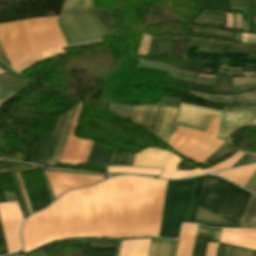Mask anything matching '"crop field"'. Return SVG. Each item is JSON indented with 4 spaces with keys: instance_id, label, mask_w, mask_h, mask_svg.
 <instances>
[{
    "instance_id": "14",
    "label": "crop field",
    "mask_w": 256,
    "mask_h": 256,
    "mask_svg": "<svg viewBox=\"0 0 256 256\" xmlns=\"http://www.w3.org/2000/svg\"><path fill=\"white\" fill-rule=\"evenodd\" d=\"M83 105L80 104L76 119L70 133L66 148L64 150L60 164L79 165L84 164L91 148L92 142L77 137H73Z\"/></svg>"
},
{
    "instance_id": "1",
    "label": "crop field",
    "mask_w": 256,
    "mask_h": 256,
    "mask_svg": "<svg viewBox=\"0 0 256 256\" xmlns=\"http://www.w3.org/2000/svg\"><path fill=\"white\" fill-rule=\"evenodd\" d=\"M57 17L28 19L0 25V41L10 64L20 73L39 60L65 53Z\"/></svg>"
},
{
    "instance_id": "35",
    "label": "crop field",
    "mask_w": 256,
    "mask_h": 256,
    "mask_svg": "<svg viewBox=\"0 0 256 256\" xmlns=\"http://www.w3.org/2000/svg\"><path fill=\"white\" fill-rule=\"evenodd\" d=\"M140 183H141V177H138L132 237H136V231H137Z\"/></svg>"
},
{
    "instance_id": "24",
    "label": "crop field",
    "mask_w": 256,
    "mask_h": 256,
    "mask_svg": "<svg viewBox=\"0 0 256 256\" xmlns=\"http://www.w3.org/2000/svg\"><path fill=\"white\" fill-rule=\"evenodd\" d=\"M247 56L248 54L245 53H238L226 50L223 57L222 65L256 68V60L242 59L247 58Z\"/></svg>"
},
{
    "instance_id": "11",
    "label": "crop field",
    "mask_w": 256,
    "mask_h": 256,
    "mask_svg": "<svg viewBox=\"0 0 256 256\" xmlns=\"http://www.w3.org/2000/svg\"><path fill=\"white\" fill-rule=\"evenodd\" d=\"M231 112L222 110L217 138L225 140L237 129L251 123L256 118V107H235Z\"/></svg>"
},
{
    "instance_id": "46",
    "label": "crop field",
    "mask_w": 256,
    "mask_h": 256,
    "mask_svg": "<svg viewBox=\"0 0 256 256\" xmlns=\"http://www.w3.org/2000/svg\"><path fill=\"white\" fill-rule=\"evenodd\" d=\"M220 231L221 229H211L209 241L218 242Z\"/></svg>"
},
{
    "instance_id": "18",
    "label": "crop field",
    "mask_w": 256,
    "mask_h": 256,
    "mask_svg": "<svg viewBox=\"0 0 256 256\" xmlns=\"http://www.w3.org/2000/svg\"><path fill=\"white\" fill-rule=\"evenodd\" d=\"M196 224H183L177 256H191Z\"/></svg>"
},
{
    "instance_id": "6",
    "label": "crop field",
    "mask_w": 256,
    "mask_h": 256,
    "mask_svg": "<svg viewBox=\"0 0 256 256\" xmlns=\"http://www.w3.org/2000/svg\"><path fill=\"white\" fill-rule=\"evenodd\" d=\"M86 236L111 238L112 178L84 189Z\"/></svg>"
},
{
    "instance_id": "4",
    "label": "crop field",
    "mask_w": 256,
    "mask_h": 256,
    "mask_svg": "<svg viewBox=\"0 0 256 256\" xmlns=\"http://www.w3.org/2000/svg\"><path fill=\"white\" fill-rule=\"evenodd\" d=\"M92 5L93 0H65L56 23L67 46L109 36Z\"/></svg>"
},
{
    "instance_id": "13",
    "label": "crop field",
    "mask_w": 256,
    "mask_h": 256,
    "mask_svg": "<svg viewBox=\"0 0 256 256\" xmlns=\"http://www.w3.org/2000/svg\"><path fill=\"white\" fill-rule=\"evenodd\" d=\"M55 198L60 196L64 191L72 188L84 187L103 180V177L45 172Z\"/></svg>"
},
{
    "instance_id": "34",
    "label": "crop field",
    "mask_w": 256,
    "mask_h": 256,
    "mask_svg": "<svg viewBox=\"0 0 256 256\" xmlns=\"http://www.w3.org/2000/svg\"><path fill=\"white\" fill-rule=\"evenodd\" d=\"M136 240L122 241L119 256H133Z\"/></svg>"
},
{
    "instance_id": "38",
    "label": "crop field",
    "mask_w": 256,
    "mask_h": 256,
    "mask_svg": "<svg viewBox=\"0 0 256 256\" xmlns=\"http://www.w3.org/2000/svg\"><path fill=\"white\" fill-rule=\"evenodd\" d=\"M203 173L199 170V168L192 170V171H179L177 170L173 179L176 178H185L190 176L202 175Z\"/></svg>"
},
{
    "instance_id": "25",
    "label": "crop field",
    "mask_w": 256,
    "mask_h": 256,
    "mask_svg": "<svg viewBox=\"0 0 256 256\" xmlns=\"http://www.w3.org/2000/svg\"><path fill=\"white\" fill-rule=\"evenodd\" d=\"M177 113H178V109L171 108V107L168 108L165 121L157 135L160 139H162L167 143L172 137L175 130L177 129V126L173 125V122L175 120Z\"/></svg>"
},
{
    "instance_id": "37",
    "label": "crop field",
    "mask_w": 256,
    "mask_h": 256,
    "mask_svg": "<svg viewBox=\"0 0 256 256\" xmlns=\"http://www.w3.org/2000/svg\"><path fill=\"white\" fill-rule=\"evenodd\" d=\"M128 153H118L113 151L109 165H124Z\"/></svg>"
},
{
    "instance_id": "58",
    "label": "crop field",
    "mask_w": 256,
    "mask_h": 256,
    "mask_svg": "<svg viewBox=\"0 0 256 256\" xmlns=\"http://www.w3.org/2000/svg\"><path fill=\"white\" fill-rule=\"evenodd\" d=\"M255 24H256V18H255Z\"/></svg>"
},
{
    "instance_id": "59",
    "label": "crop field",
    "mask_w": 256,
    "mask_h": 256,
    "mask_svg": "<svg viewBox=\"0 0 256 256\" xmlns=\"http://www.w3.org/2000/svg\"><path fill=\"white\" fill-rule=\"evenodd\" d=\"M254 123H256V121Z\"/></svg>"
},
{
    "instance_id": "17",
    "label": "crop field",
    "mask_w": 256,
    "mask_h": 256,
    "mask_svg": "<svg viewBox=\"0 0 256 256\" xmlns=\"http://www.w3.org/2000/svg\"><path fill=\"white\" fill-rule=\"evenodd\" d=\"M160 106H137L134 107L132 121L151 131L153 128Z\"/></svg>"
},
{
    "instance_id": "42",
    "label": "crop field",
    "mask_w": 256,
    "mask_h": 256,
    "mask_svg": "<svg viewBox=\"0 0 256 256\" xmlns=\"http://www.w3.org/2000/svg\"><path fill=\"white\" fill-rule=\"evenodd\" d=\"M8 253L0 222V255Z\"/></svg>"
},
{
    "instance_id": "40",
    "label": "crop field",
    "mask_w": 256,
    "mask_h": 256,
    "mask_svg": "<svg viewBox=\"0 0 256 256\" xmlns=\"http://www.w3.org/2000/svg\"><path fill=\"white\" fill-rule=\"evenodd\" d=\"M167 108L168 107L161 106V110H160V113H159L158 121H157V123L155 125V129L152 131V133L155 134V135H157V133H158V131H159L163 121H164Z\"/></svg>"
},
{
    "instance_id": "8",
    "label": "crop field",
    "mask_w": 256,
    "mask_h": 256,
    "mask_svg": "<svg viewBox=\"0 0 256 256\" xmlns=\"http://www.w3.org/2000/svg\"><path fill=\"white\" fill-rule=\"evenodd\" d=\"M166 181L142 177L138 236L159 234Z\"/></svg>"
},
{
    "instance_id": "52",
    "label": "crop field",
    "mask_w": 256,
    "mask_h": 256,
    "mask_svg": "<svg viewBox=\"0 0 256 256\" xmlns=\"http://www.w3.org/2000/svg\"><path fill=\"white\" fill-rule=\"evenodd\" d=\"M49 142H50V141H48L47 146H46V149H45L44 154H43V156H42L41 162H40V164H39L40 166L42 165V162H43V159H44L45 153H46L47 148H48V145H49Z\"/></svg>"
},
{
    "instance_id": "19",
    "label": "crop field",
    "mask_w": 256,
    "mask_h": 256,
    "mask_svg": "<svg viewBox=\"0 0 256 256\" xmlns=\"http://www.w3.org/2000/svg\"><path fill=\"white\" fill-rule=\"evenodd\" d=\"M112 150L113 149L110 147L94 142L86 164L94 166H107Z\"/></svg>"
},
{
    "instance_id": "51",
    "label": "crop field",
    "mask_w": 256,
    "mask_h": 256,
    "mask_svg": "<svg viewBox=\"0 0 256 256\" xmlns=\"http://www.w3.org/2000/svg\"><path fill=\"white\" fill-rule=\"evenodd\" d=\"M256 180V170L255 172L252 174V176L249 178V180L247 181V183L244 185V188L248 189L252 186V184L255 182Z\"/></svg>"
},
{
    "instance_id": "53",
    "label": "crop field",
    "mask_w": 256,
    "mask_h": 256,
    "mask_svg": "<svg viewBox=\"0 0 256 256\" xmlns=\"http://www.w3.org/2000/svg\"><path fill=\"white\" fill-rule=\"evenodd\" d=\"M250 191L256 193V182L253 184V186L250 188Z\"/></svg>"
},
{
    "instance_id": "27",
    "label": "crop field",
    "mask_w": 256,
    "mask_h": 256,
    "mask_svg": "<svg viewBox=\"0 0 256 256\" xmlns=\"http://www.w3.org/2000/svg\"><path fill=\"white\" fill-rule=\"evenodd\" d=\"M209 231V228L198 225L192 256H204Z\"/></svg>"
},
{
    "instance_id": "10",
    "label": "crop field",
    "mask_w": 256,
    "mask_h": 256,
    "mask_svg": "<svg viewBox=\"0 0 256 256\" xmlns=\"http://www.w3.org/2000/svg\"><path fill=\"white\" fill-rule=\"evenodd\" d=\"M0 218L9 253L21 248L19 229L23 221L17 202L0 204Z\"/></svg>"
},
{
    "instance_id": "45",
    "label": "crop field",
    "mask_w": 256,
    "mask_h": 256,
    "mask_svg": "<svg viewBox=\"0 0 256 256\" xmlns=\"http://www.w3.org/2000/svg\"><path fill=\"white\" fill-rule=\"evenodd\" d=\"M198 77L215 80V77H213V76H207V75H202V74H199ZM196 80L209 81V82H214V83H215V81L206 80V79H200V78H197ZM195 83H197V84H204V85H211V86H214V85H215V84L202 83V82H197V81H195Z\"/></svg>"
},
{
    "instance_id": "48",
    "label": "crop field",
    "mask_w": 256,
    "mask_h": 256,
    "mask_svg": "<svg viewBox=\"0 0 256 256\" xmlns=\"http://www.w3.org/2000/svg\"><path fill=\"white\" fill-rule=\"evenodd\" d=\"M217 244L208 243L207 251L205 256H214Z\"/></svg>"
},
{
    "instance_id": "39",
    "label": "crop field",
    "mask_w": 256,
    "mask_h": 256,
    "mask_svg": "<svg viewBox=\"0 0 256 256\" xmlns=\"http://www.w3.org/2000/svg\"><path fill=\"white\" fill-rule=\"evenodd\" d=\"M15 93L10 91L8 88L0 84V105H2L5 101H7L11 96Z\"/></svg>"
},
{
    "instance_id": "12",
    "label": "crop field",
    "mask_w": 256,
    "mask_h": 256,
    "mask_svg": "<svg viewBox=\"0 0 256 256\" xmlns=\"http://www.w3.org/2000/svg\"><path fill=\"white\" fill-rule=\"evenodd\" d=\"M213 116H220L219 111L181 103L176 125L206 132Z\"/></svg>"
},
{
    "instance_id": "21",
    "label": "crop field",
    "mask_w": 256,
    "mask_h": 256,
    "mask_svg": "<svg viewBox=\"0 0 256 256\" xmlns=\"http://www.w3.org/2000/svg\"><path fill=\"white\" fill-rule=\"evenodd\" d=\"M179 241L151 240L148 256H176Z\"/></svg>"
},
{
    "instance_id": "43",
    "label": "crop field",
    "mask_w": 256,
    "mask_h": 256,
    "mask_svg": "<svg viewBox=\"0 0 256 256\" xmlns=\"http://www.w3.org/2000/svg\"><path fill=\"white\" fill-rule=\"evenodd\" d=\"M254 82H256V78H253V79L236 78V79H233V86L254 83Z\"/></svg>"
},
{
    "instance_id": "50",
    "label": "crop field",
    "mask_w": 256,
    "mask_h": 256,
    "mask_svg": "<svg viewBox=\"0 0 256 256\" xmlns=\"http://www.w3.org/2000/svg\"><path fill=\"white\" fill-rule=\"evenodd\" d=\"M0 60L2 62H4L6 65H8L9 67H11L10 64H9V61H8L6 55H5V52H4L3 48H2L1 43H0Z\"/></svg>"
},
{
    "instance_id": "5",
    "label": "crop field",
    "mask_w": 256,
    "mask_h": 256,
    "mask_svg": "<svg viewBox=\"0 0 256 256\" xmlns=\"http://www.w3.org/2000/svg\"><path fill=\"white\" fill-rule=\"evenodd\" d=\"M250 195L215 176H206L198 206L240 224Z\"/></svg>"
},
{
    "instance_id": "28",
    "label": "crop field",
    "mask_w": 256,
    "mask_h": 256,
    "mask_svg": "<svg viewBox=\"0 0 256 256\" xmlns=\"http://www.w3.org/2000/svg\"><path fill=\"white\" fill-rule=\"evenodd\" d=\"M161 169H149V168H138V167H108V173L114 172H128V173H139L148 175H159Z\"/></svg>"
},
{
    "instance_id": "23",
    "label": "crop field",
    "mask_w": 256,
    "mask_h": 256,
    "mask_svg": "<svg viewBox=\"0 0 256 256\" xmlns=\"http://www.w3.org/2000/svg\"><path fill=\"white\" fill-rule=\"evenodd\" d=\"M196 48L197 47L189 46L187 51H186V53H185V55L183 56V58L184 59L194 60V61H197L199 63H202V64H204L203 66H205V67L211 69L212 71L218 73L217 72V67H218L219 63L207 61L206 59L201 58L200 56L220 61L221 55L209 54V53H201V52H197L198 54H194V51L196 50Z\"/></svg>"
},
{
    "instance_id": "29",
    "label": "crop field",
    "mask_w": 256,
    "mask_h": 256,
    "mask_svg": "<svg viewBox=\"0 0 256 256\" xmlns=\"http://www.w3.org/2000/svg\"><path fill=\"white\" fill-rule=\"evenodd\" d=\"M241 225L256 226V196L251 195L247 210Z\"/></svg>"
},
{
    "instance_id": "9",
    "label": "crop field",
    "mask_w": 256,
    "mask_h": 256,
    "mask_svg": "<svg viewBox=\"0 0 256 256\" xmlns=\"http://www.w3.org/2000/svg\"><path fill=\"white\" fill-rule=\"evenodd\" d=\"M216 136L178 127L169 141L180 154L202 163L214 152L223 141L215 139Z\"/></svg>"
},
{
    "instance_id": "47",
    "label": "crop field",
    "mask_w": 256,
    "mask_h": 256,
    "mask_svg": "<svg viewBox=\"0 0 256 256\" xmlns=\"http://www.w3.org/2000/svg\"><path fill=\"white\" fill-rule=\"evenodd\" d=\"M241 40H246V41H256V35H251V34H245L242 33V37ZM244 43H251V44H256L255 42H245V41H241Z\"/></svg>"
},
{
    "instance_id": "44",
    "label": "crop field",
    "mask_w": 256,
    "mask_h": 256,
    "mask_svg": "<svg viewBox=\"0 0 256 256\" xmlns=\"http://www.w3.org/2000/svg\"><path fill=\"white\" fill-rule=\"evenodd\" d=\"M219 118L214 117L207 132L217 135Z\"/></svg>"
},
{
    "instance_id": "55",
    "label": "crop field",
    "mask_w": 256,
    "mask_h": 256,
    "mask_svg": "<svg viewBox=\"0 0 256 256\" xmlns=\"http://www.w3.org/2000/svg\"><path fill=\"white\" fill-rule=\"evenodd\" d=\"M245 106H253V105H245ZM228 107H231V106H228Z\"/></svg>"
},
{
    "instance_id": "16",
    "label": "crop field",
    "mask_w": 256,
    "mask_h": 256,
    "mask_svg": "<svg viewBox=\"0 0 256 256\" xmlns=\"http://www.w3.org/2000/svg\"><path fill=\"white\" fill-rule=\"evenodd\" d=\"M171 153L158 148H146L136 154L133 166L164 168Z\"/></svg>"
},
{
    "instance_id": "20",
    "label": "crop field",
    "mask_w": 256,
    "mask_h": 256,
    "mask_svg": "<svg viewBox=\"0 0 256 256\" xmlns=\"http://www.w3.org/2000/svg\"><path fill=\"white\" fill-rule=\"evenodd\" d=\"M255 169L256 164H253L232 170L218 172L216 174L223 178L231 180L243 187V185L246 183V181L248 180V178L251 176Z\"/></svg>"
},
{
    "instance_id": "57",
    "label": "crop field",
    "mask_w": 256,
    "mask_h": 256,
    "mask_svg": "<svg viewBox=\"0 0 256 256\" xmlns=\"http://www.w3.org/2000/svg\"><path fill=\"white\" fill-rule=\"evenodd\" d=\"M250 126H256V124L255 125H250Z\"/></svg>"
},
{
    "instance_id": "56",
    "label": "crop field",
    "mask_w": 256,
    "mask_h": 256,
    "mask_svg": "<svg viewBox=\"0 0 256 256\" xmlns=\"http://www.w3.org/2000/svg\"><path fill=\"white\" fill-rule=\"evenodd\" d=\"M2 72H4V71H2V70L0 69V73H2Z\"/></svg>"
},
{
    "instance_id": "33",
    "label": "crop field",
    "mask_w": 256,
    "mask_h": 256,
    "mask_svg": "<svg viewBox=\"0 0 256 256\" xmlns=\"http://www.w3.org/2000/svg\"><path fill=\"white\" fill-rule=\"evenodd\" d=\"M13 175H14V178H15V181H16V185H17V188H18V191H19V194H20L21 200H22V204H23V207H24V210H25L26 216H29V213H32V211H31V208H30V205H29V202H28L27 196H26V192H25V189H24V186H23V183H22V180H21L20 174L18 173L17 175H18V178H19V181H20V185H21V188H22V191H23V194H24V197H25L26 203H27V207H28L29 213H28V210H27V207H26V203H25V200H24V197H23V194H22V191H21L20 185H19V181H18L17 175H16V174H13Z\"/></svg>"
},
{
    "instance_id": "15",
    "label": "crop field",
    "mask_w": 256,
    "mask_h": 256,
    "mask_svg": "<svg viewBox=\"0 0 256 256\" xmlns=\"http://www.w3.org/2000/svg\"><path fill=\"white\" fill-rule=\"evenodd\" d=\"M219 242L256 250V230L222 229Z\"/></svg>"
},
{
    "instance_id": "31",
    "label": "crop field",
    "mask_w": 256,
    "mask_h": 256,
    "mask_svg": "<svg viewBox=\"0 0 256 256\" xmlns=\"http://www.w3.org/2000/svg\"><path fill=\"white\" fill-rule=\"evenodd\" d=\"M244 154L240 153L239 151L234 154L233 156H231L230 158H228L227 160L209 168L206 170H202L204 174L211 172V171H216V170H220V169H225V168H230L236 161H238Z\"/></svg>"
},
{
    "instance_id": "54",
    "label": "crop field",
    "mask_w": 256,
    "mask_h": 256,
    "mask_svg": "<svg viewBox=\"0 0 256 256\" xmlns=\"http://www.w3.org/2000/svg\"><path fill=\"white\" fill-rule=\"evenodd\" d=\"M244 26H245V31H247V26H246V22L244 21Z\"/></svg>"
},
{
    "instance_id": "49",
    "label": "crop field",
    "mask_w": 256,
    "mask_h": 256,
    "mask_svg": "<svg viewBox=\"0 0 256 256\" xmlns=\"http://www.w3.org/2000/svg\"><path fill=\"white\" fill-rule=\"evenodd\" d=\"M235 24L236 28L243 30L241 14L235 13Z\"/></svg>"
},
{
    "instance_id": "26",
    "label": "crop field",
    "mask_w": 256,
    "mask_h": 256,
    "mask_svg": "<svg viewBox=\"0 0 256 256\" xmlns=\"http://www.w3.org/2000/svg\"><path fill=\"white\" fill-rule=\"evenodd\" d=\"M77 108L78 106H76L74 109L71 110L70 112V115L68 117V120H67V123L65 125V128H64V131H63V134H62V137L60 139V142H59V145H58V148H57V151H56V154H55V157L53 159V162H52V165L51 166H54L56 164L59 163V160L61 158V155H62V152L64 150V147H65V144H66V141L68 139V136H69V133H70V130L72 128V125H73V122H74V118H75V115H76V112H77Z\"/></svg>"
},
{
    "instance_id": "30",
    "label": "crop field",
    "mask_w": 256,
    "mask_h": 256,
    "mask_svg": "<svg viewBox=\"0 0 256 256\" xmlns=\"http://www.w3.org/2000/svg\"><path fill=\"white\" fill-rule=\"evenodd\" d=\"M233 148L231 144L224 142L214 153H212L204 162L203 164H210L211 162L233 152Z\"/></svg>"
},
{
    "instance_id": "22",
    "label": "crop field",
    "mask_w": 256,
    "mask_h": 256,
    "mask_svg": "<svg viewBox=\"0 0 256 256\" xmlns=\"http://www.w3.org/2000/svg\"><path fill=\"white\" fill-rule=\"evenodd\" d=\"M191 94L212 101L220 104H226V103H234L236 100H254L256 101V91L247 93V94H241V95H236V96H214V95H209L205 93H199V92H193L190 91ZM242 103H249V102H242Z\"/></svg>"
},
{
    "instance_id": "32",
    "label": "crop field",
    "mask_w": 256,
    "mask_h": 256,
    "mask_svg": "<svg viewBox=\"0 0 256 256\" xmlns=\"http://www.w3.org/2000/svg\"><path fill=\"white\" fill-rule=\"evenodd\" d=\"M180 161H181L180 158L172 154L161 177L171 179Z\"/></svg>"
},
{
    "instance_id": "36",
    "label": "crop field",
    "mask_w": 256,
    "mask_h": 256,
    "mask_svg": "<svg viewBox=\"0 0 256 256\" xmlns=\"http://www.w3.org/2000/svg\"><path fill=\"white\" fill-rule=\"evenodd\" d=\"M150 240H137L134 256H146Z\"/></svg>"
},
{
    "instance_id": "3",
    "label": "crop field",
    "mask_w": 256,
    "mask_h": 256,
    "mask_svg": "<svg viewBox=\"0 0 256 256\" xmlns=\"http://www.w3.org/2000/svg\"><path fill=\"white\" fill-rule=\"evenodd\" d=\"M204 177L167 181L159 237L178 238L181 221H193Z\"/></svg>"
},
{
    "instance_id": "41",
    "label": "crop field",
    "mask_w": 256,
    "mask_h": 256,
    "mask_svg": "<svg viewBox=\"0 0 256 256\" xmlns=\"http://www.w3.org/2000/svg\"><path fill=\"white\" fill-rule=\"evenodd\" d=\"M48 137H49V135H47V134H45L44 135V137H43V140H42V142H41V145H40V147H39V150H38V152H37V155H36V157H35V160H34V164H39V162H40V159H41V156H42V154H43V151H44V149H45V146H46V143H47V141H48Z\"/></svg>"
},
{
    "instance_id": "2",
    "label": "crop field",
    "mask_w": 256,
    "mask_h": 256,
    "mask_svg": "<svg viewBox=\"0 0 256 256\" xmlns=\"http://www.w3.org/2000/svg\"><path fill=\"white\" fill-rule=\"evenodd\" d=\"M78 236H85L83 189L67 192L47 209L29 217L22 230L25 252Z\"/></svg>"
},
{
    "instance_id": "7",
    "label": "crop field",
    "mask_w": 256,
    "mask_h": 256,
    "mask_svg": "<svg viewBox=\"0 0 256 256\" xmlns=\"http://www.w3.org/2000/svg\"><path fill=\"white\" fill-rule=\"evenodd\" d=\"M137 177L113 178L112 238L131 237Z\"/></svg>"
}]
</instances>
